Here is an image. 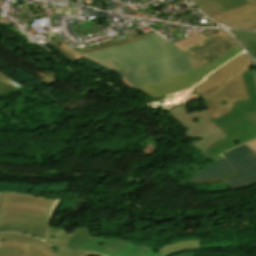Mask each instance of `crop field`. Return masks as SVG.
I'll return each mask as SVG.
<instances>
[{
  "label": "crop field",
  "instance_id": "crop-field-1",
  "mask_svg": "<svg viewBox=\"0 0 256 256\" xmlns=\"http://www.w3.org/2000/svg\"><path fill=\"white\" fill-rule=\"evenodd\" d=\"M242 51L238 44L204 67L154 33L137 41L80 55L119 73L128 86L160 97L194 86Z\"/></svg>",
  "mask_w": 256,
  "mask_h": 256
},
{
  "label": "crop field",
  "instance_id": "crop-field-2",
  "mask_svg": "<svg viewBox=\"0 0 256 256\" xmlns=\"http://www.w3.org/2000/svg\"><path fill=\"white\" fill-rule=\"evenodd\" d=\"M252 62L243 53L192 89L205 97L207 109L214 119L230 112L234 107L232 102L248 99L241 73L252 68Z\"/></svg>",
  "mask_w": 256,
  "mask_h": 256
},
{
  "label": "crop field",
  "instance_id": "crop-field-3",
  "mask_svg": "<svg viewBox=\"0 0 256 256\" xmlns=\"http://www.w3.org/2000/svg\"><path fill=\"white\" fill-rule=\"evenodd\" d=\"M242 75L249 100L234 103L235 108L231 109L232 112L216 120L212 117L209 118L212 123L228 136L203 151L213 158L236 145L256 138V130L252 120L247 119L245 114V112L256 111V82L253 69L242 73Z\"/></svg>",
  "mask_w": 256,
  "mask_h": 256
},
{
  "label": "crop field",
  "instance_id": "crop-field-4",
  "mask_svg": "<svg viewBox=\"0 0 256 256\" xmlns=\"http://www.w3.org/2000/svg\"><path fill=\"white\" fill-rule=\"evenodd\" d=\"M45 242L59 249L92 251L106 256H166L155 254L152 248L114 239L92 237L86 227L66 234L62 229L49 226Z\"/></svg>",
  "mask_w": 256,
  "mask_h": 256
},
{
  "label": "crop field",
  "instance_id": "crop-field-5",
  "mask_svg": "<svg viewBox=\"0 0 256 256\" xmlns=\"http://www.w3.org/2000/svg\"><path fill=\"white\" fill-rule=\"evenodd\" d=\"M226 153L230 156L201 170L193 180L212 178L239 171L241 175L224 180L230 190L256 184V155L245 144Z\"/></svg>",
  "mask_w": 256,
  "mask_h": 256
},
{
  "label": "crop field",
  "instance_id": "crop-field-6",
  "mask_svg": "<svg viewBox=\"0 0 256 256\" xmlns=\"http://www.w3.org/2000/svg\"><path fill=\"white\" fill-rule=\"evenodd\" d=\"M53 199L4 191L0 207V224L20 223L48 227L46 217Z\"/></svg>",
  "mask_w": 256,
  "mask_h": 256
},
{
  "label": "crop field",
  "instance_id": "crop-field-7",
  "mask_svg": "<svg viewBox=\"0 0 256 256\" xmlns=\"http://www.w3.org/2000/svg\"><path fill=\"white\" fill-rule=\"evenodd\" d=\"M169 113L183 126L188 128L185 135L187 138L202 137L203 140L193 143L202 151L212 143L226 137L207 119L210 117L207 109L187 114L186 105H180L169 111Z\"/></svg>",
  "mask_w": 256,
  "mask_h": 256
},
{
  "label": "crop field",
  "instance_id": "crop-field-8",
  "mask_svg": "<svg viewBox=\"0 0 256 256\" xmlns=\"http://www.w3.org/2000/svg\"><path fill=\"white\" fill-rule=\"evenodd\" d=\"M201 44H203V46H201ZM236 44L238 43L232 37L218 32L181 49V51L205 65L221 56Z\"/></svg>",
  "mask_w": 256,
  "mask_h": 256
},
{
  "label": "crop field",
  "instance_id": "crop-field-9",
  "mask_svg": "<svg viewBox=\"0 0 256 256\" xmlns=\"http://www.w3.org/2000/svg\"><path fill=\"white\" fill-rule=\"evenodd\" d=\"M210 18L226 27L256 31L249 28L256 26V5L250 6L249 3Z\"/></svg>",
  "mask_w": 256,
  "mask_h": 256
},
{
  "label": "crop field",
  "instance_id": "crop-field-10",
  "mask_svg": "<svg viewBox=\"0 0 256 256\" xmlns=\"http://www.w3.org/2000/svg\"><path fill=\"white\" fill-rule=\"evenodd\" d=\"M0 240H14V241L29 243L31 244L29 247L43 253L45 256H88V255L101 256V255H97L89 252H82V251L55 250L40 240L31 238L29 236H25L22 234H15V233L0 234Z\"/></svg>",
  "mask_w": 256,
  "mask_h": 256
},
{
  "label": "crop field",
  "instance_id": "crop-field-11",
  "mask_svg": "<svg viewBox=\"0 0 256 256\" xmlns=\"http://www.w3.org/2000/svg\"><path fill=\"white\" fill-rule=\"evenodd\" d=\"M207 17L247 3L246 0H191Z\"/></svg>",
  "mask_w": 256,
  "mask_h": 256
},
{
  "label": "crop field",
  "instance_id": "crop-field-12",
  "mask_svg": "<svg viewBox=\"0 0 256 256\" xmlns=\"http://www.w3.org/2000/svg\"><path fill=\"white\" fill-rule=\"evenodd\" d=\"M7 225H0V232H18V233H26L28 235L37 237L43 240L46 230L45 228L31 226V225H20V224H8Z\"/></svg>",
  "mask_w": 256,
  "mask_h": 256
},
{
  "label": "crop field",
  "instance_id": "crop-field-13",
  "mask_svg": "<svg viewBox=\"0 0 256 256\" xmlns=\"http://www.w3.org/2000/svg\"><path fill=\"white\" fill-rule=\"evenodd\" d=\"M201 248L200 240H190V241H183L177 242L170 245L165 246L161 250L157 251L158 253H166L167 255L179 252L181 250L187 249H196Z\"/></svg>",
  "mask_w": 256,
  "mask_h": 256
},
{
  "label": "crop field",
  "instance_id": "crop-field-14",
  "mask_svg": "<svg viewBox=\"0 0 256 256\" xmlns=\"http://www.w3.org/2000/svg\"><path fill=\"white\" fill-rule=\"evenodd\" d=\"M29 244L13 242V241H0V248H14L25 251L21 256H44L41 253L28 247Z\"/></svg>",
  "mask_w": 256,
  "mask_h": 256
},
{
  "label": "crop field",
  "instance_id": "crop-field-15",
  "mask_svg": "<svg viewBox=\"0 0 256 256\" xmlns=\"http://www.w3.org/2000/svg\"><path fill=\"white\" fill-rule=\"evenodd\" d=\"M23 87L0 73V93Z\"/></svg>",
  "mask_w": 256,
  "mask_h": 256
},
{
  "label": "crop field",
  "instance_id": "crop-field-16",
  "mask_svg": "<svg viewBox=\"0 0 256 256\" xmlns=\"http://www.w3.org/2000/svg\"><path fill=\"white\" fill-rule=\"evenodd\" d=\"M241 43L256 40V33L243 32V31H230Z\"/></svg>",
  "mask_w": 256,
  "mask_h": 256
},
{
  "label": "crop field",
  "instance_id": "crop-field-17",
  "mask_svg": "<svg viewBox=\"0 0 256 256\" xmlns=\"http://www.w3.org/2000/svg\"><path fill=\"white\" fill-rule=\"evenodd\" d=\"M51 47H53L56 51H58L61 55H63L65 58L69 59L73 63L77 60L74 57H72L70 54H68L66 51H64L59 45H57L52 39H50L48 43Z\"/></svg>",
  "mask_w": 256,
  "mask_h": 256
},
{
  "label": "crop field",
  "instance_id": "crop-field-18",
  "mask_svg": "<svg viewBox=\"0 0 256 256\" xmlns=\"http://www.w3.org/2000/svg\"><path fill=\"white\" fill-rule=\"evenodd\" d=\"M243 46L252 57L256 58V41L244 43Z\"/></svg>",
  "mask_w": 256,
  "mask_h": 256
},
{
  "label": "crop field",
  "instance_id": "crop-field-19",
  "mask_svg": "<svg viewBox=\"0 0 256 256\" xmlns=\"http://www.w3.org/2000/svg\"><path fill=\"white\" fill-rule=\"evenodd\" d=\"M23 252L13 249H0V255L4 256H20Z\"/></svg>",
  "mask_w": 256,
  "mask_h": 256
},
{
  "label": "crop field",
  "instance_id": "crop-field-20",
  "mask_svg": "<svg viewBox=\"0 0 256 256\" xmlns=\"http://www.w3.org/2000/svg\"><path fill=\"white\" fill-rule=\"evenodd\" d=\"M239 172L236 173H232L229 175H225V176H221V177H216V178H212V179H207V180H201V181H190V183H205V182H212V181H216V180H220V179H225L234 175H238Z\"/></svg>",
  "mask_w": 256,
  "mask_h": 256
},
{
  "label": "crop field",
  "instance_id": "crop-field-21",
  "mask_svg": "<svg viewBox=\"0 0 256 256\" xmlns=\"http://www.w3.org/2000/svg\"><path fill=\"white\" fill-rule=\"evenodd\" d=\"M61 200H62V199H60V198L54 199L53 205H52L51 210H50V213H49V215H48L49 219L52 218V215H53V213H54V210L57 209V207H58V205L60 204Z\"/></svg>",
  "mask_w": 256,
  "mask_h": 256
},
{
  "label": "crop field",
  "instance_id": "crop-field-22",
  "mask_svg": "<svg viewBox=\"0 0 256 256\" xmlns=\"http://www.w3.org/2000/svg\"><path fill=\"white\" fill-rule=\"evenodd\" d=\"M246 145L256 154V140L250 141Z\"/></svg>",
  "mask_w": 256,
  "mask_h": 256
},
{
  "label": "crop field",
  "instance_id": "crop-field-23",
  "mask_svg": "<svg viewBox=\"0 0 256 256\" xmlns=\"http://www.w3.org/2000/svg\"><path fill=\"white\" fill-rule=\"evenodd\" d=\"M246 114H247L248 118H252L253 123H254L255 128H256V112H254V113H246Z\"/></svg>",
  "mask_w": 256,
  "mask_h": 256
},
{
  "label": "crop field",
  "instance_id": "crop-field-24",
  "mask_svg": "<svg viewBox=\"0 0 256 256\" xmlns=\"http://www.w3.org/2000/svg\"><path fill=\"white\" fill-rule=\"evenodd\" d=\"M248 1H249L250 5L256 4V0H248Z\"/></svg>",
  "mask_w": 256,
  "mask_h": 256
},
{
  "label": "crop field",
  "instance_id": "crop-field-25",
  "mask_svg": "<svg viewBox=\"0 0 256 256\" xmlns=\"http://www.w3.org/2000/svg\"><path fill=\"white\" fill-rule=\"evenodd\" d=\"M2 194H3V193L0 192V202H1Z\"/></svg>",
  "mask_w": 256,
  "mask_h": 256
},
{
  "label": "crop field",
  "instance_id": "crop-field-26",
  "mask_svg": "<svg viewBox=\"0 0 256 256\" xmlns=\"http://www.w3.org/2000/svg\"><path fill=\"white\" fill-rule=\"evenodd\" d=\"M254 71H255V75H256V66H255V69H254Z\"/></svg>",
  "mask_w": 256,
  "mask_h": 256
},
{
  "label": "crop field",
  "instance_id": "crop-field-27",
  "mask_svg": "<svg viewBox=\"0 0 256 256\" xmlns=\"http://www.w3.org/2000/svg\"><path fill=\"white\" fill-rule=\"evenodd\" d=\"M252 28H256V27H252Z\"/></svg>",
  "mask_w": 256,
  "mask_h": 256
}]
</instances>
